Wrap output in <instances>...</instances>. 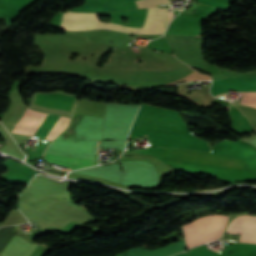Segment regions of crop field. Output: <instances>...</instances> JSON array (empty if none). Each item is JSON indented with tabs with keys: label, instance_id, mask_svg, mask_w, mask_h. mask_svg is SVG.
<instances>
[{
	"label": "crop field",
	"instance_id": "obj_1",
	"mask_svg": "<svg viewBox=\"0 0 256 256\" xmlns=\"http://www.w3.org/2000/svg\"><path fill=\"white\" fill-rule=\"evenodd\" d=\"M175 56L182 62L195 67H205L202 47L204 44L201 36L186 37L167 35Z\"/></svg>",
	"mask_w": 256,
	"mask_h": 256
},
{
	"label": "crop field",
	"instance_id": "obj_2",
	"mask_svg": "<svg viewBox=\"0 0 256 256\" xmlns=\"http://www.w3.org/2000/svg\"><path fill=\"white\" fill-rule=\"evenodd\" d=\"M98 14L89 13H70L66 12L63 16L61 28L66 31H80L91 29H111L127 33L138 34L140 28H128L111 23H100L97 20Z\"/></svg>",
	"mask_w": 256,
	"mask_h": 256
},
{
	"label": "crop field",
	"instance_id": "obj_3",
	"mask_svg": "<svg viewBox=\"0 0 256 256\" xmlns=\"http://www.w3.org/2000/svg\"><path fill=\"white\" fill-rule=\"evenodd\" d=\"M167 9L149 8L145 24L140 34H162L167 24L170 22V17ZM175 11L169 12L171 18Z\"/></svg>",
	"mask_w": 256,
	"mask_h": 256
},
{
	"label": "crop field",
	"instance_id": "obj_4",
	"mask_svg": "<svg viewBox=\"0 0 256 256\" xmlns=\"http://www.w3.org/2000/svg\"><path fill=\"white\" fill-rule=\"evenodd\" d=\"M228 227L256 229V216L243 215V216L235 217L230 222ZM234 228H227L225 233L241 234L239 242L256 243V230L234 229Z\"/></svg>",
	"mask_w": 256,
	"mask_h": 256
},
{
	"label": "crop field",
	"instance_id": "obj_5",
	"mask_svg": "<svg viewBox=\"0 0 256 256\" xmlns=\"http://www.w3.org/2000/svg\"><path fill=\"white\" fill-rule=\"evenodd\" d=\"M59 116L39 113L31 126L25 132L26 135H37L41 138L47 134Z\"/></svg>",
	"mask_w": 256,
	"mask_h": 256
},
{
	"label": "crop field",
	"instance_id": "obj_6",
	"mask_svg": "<svg viewBox=\"0 0 256 256\" xmlns=\"http://www.w3.org/2000/svg\"><path fill=\"white\" fill-rule=\"evenodd\" d=\"M36 245L30 244L23 238L15 236L1 253L2 256H29Z\"/></svg>",
	"mask_w": 256,
	"mask_h": 256
},
{
	"label": "crop field",
	"instance_id": "obj_7",
	"mask_svg": "<svg viewBox=\"0 0 256 256\" xmlns=\"http://www.w3.org/2000/svg\"><path fill=\"white\" fill-rule=\"evenodd\" d=\"M100 142H98V150ZM50 162H54L72 169L88 167L95 165V159H69V158H45Z\"/></svg>",
	"mask_w": 256,
	"mask_h": 256
},
{
	"label": "crop field",
	"instance_id": "obj_8",
	"mask_svg": "<svg viewBox=\"0 0 256 256\" xmlns=\"http://www.w3.org/2000/svg\"><path fill=\"white\" fill-rule=\"evenodd\" d=\"M224 94L218 95L216 97L222 96ZM240 95H241L240 103L256 107V93H240Z\"/></svg>",
	"mask_w": 256,
	"mask_h": 256
},
{
	"label": "crop field",
	"instance_id": "obj_9",
	"mask_svg": "<svg viewBox=\"0 0 256 256\" xmlns=\"http://www.w3.org/2000/svg\"><path fill=\"white\" fill-rule=\"evenodd\" d=\"M138 8L158 6L161 4L169 3L168 0H137L135 1Z\"/></svg>",
	"mask_w": 256,
	"mask_h": 256
},
{
	"label": "crop field",
	"instance_id": "obj_10",
	"mask_svg": "<svg viewBox=\"0 0 256 256\" xmlns=\"http://www.w3.org/2000/svg\"><path fill=\"white\" fill-rule=\"evenodd\" d=\"M234 73H237V72H233V71H229V70L224 69L220 73L212 76V78H213V80H216V79H220V78L229 76V75L234 74Z\"/></svg>",
	"mask_w": 256,
	"mask_h": 256
},
{
	"label": "crop field",
	"instance_id": "obj_11",
	"mask_svg": "<svg viewBox=\"0 0 256 256\" xmlns=\"http://www.w3.org/2000/svg\"><path fill=\"white\" fill-rule=\"evenodd\" d=\"M162 37H165L164 35Z\"/></svg>",
	"mask_w": 256,
	"mask_h": 256
},
{
	"label": "crop field",
	"instance_id": "obj_12",
	"mask_svg": "<svg viewBox=\"0 0 256 256\" xmlns=\"http://www.w3.org/2000/svg\"><path fill=\"white\" fill-rule=\"evenodd\" d=\"M47 147H48V146H47ZM47 147H46V148H47ZM46 148H45V149H46Z\"/></svg>",
	"mask_w": 256,
	"mask_h": 256
},
{
	"label": "crop field",
	"instance_id": "obj_13",
	"mask_svg": "<svg viewBox=\"0 0 256 256\" xmlns=\"http://www.w3.org/2000/svg\"><path fill=\"white\" fill-rule=\"evenodd\" d=\"M41 225V224H40Z\"/></svg>",
	"mask_w": 256,
	"mask_h": 256
}]
</instances>
